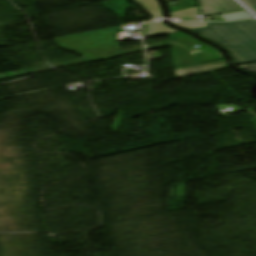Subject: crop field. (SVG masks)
<instances>
[{
    "label": "crop field",
    "instance_id": "crop-field-8",
    "mask_svg": "<svg viewBox=\"0 0 256 256\" xmlns=\"http://www.w3.org/2000/svg\"><path fill=\"white\" fill-rule=\"evenodd\" d=\"M172 23L187 29L208 27L206 23H190V22H172Z\"/></svg>",
    "mask_w": 256,
    "mask_h": 256
},
{
    "label": "crop field",
    "instance_id": "crop-field-2",
    "mask_svg": "<svg viewBox=\"0 0 256 256\" xmlns=\"http://www.w3.org/2000/svg\"><path fill=\"white\" fill-rule=\"evenodd\" d=\"M172 63L175 69L222 60L223 57L218 50L212 48L182 32L168 34ZM200 47L195 48L193 46ZM198 51L200 61L192 56V52Z\"/></svg>",
    "mask_w": 256,
    "mask_h": 256
},
{
    "label": "crop field",
    "instance_id": "crop-field-4",
    "mask_svg": "<svg viewBox=\"0 0 256 256\" xmlns=\"http://www.w3.org/2000/svg\"><path fill=\"white\" fill-rule=\"evenodd\" d=\"M225 67H227V64H226L225 60H222V61L202 64V65L177 69L175 71H176L177 77H179V76L190 75V74H195V73H200V72H206V71H211V70H216V69H222Z\"/></svg>",
    "mask_w": 256,
    "mask_h": 256
},
{
    "label": "crop field",
    "instance_id": "crop-field-3",
    "mask_svg": "<svg viewBox=\"0 0 256 256\" xmlns=\"http://www.w3.org/2000/svg\"><path fill=\"white\" fill-rule=\"evenodd\" d=\"M204 16L243 11L232 0H198Z\"/></svg>",
    "mask_w": 256,
    "mask_h": 256
},
{
    "label": "crop field",
    "instance_id": "crop-field-10",
    "mask_svg": "<svg viewBox=\"0 0 256 256\" xmlns=\"http://www.w3.org/2000/svg\"><path fill=\"white\" fill-rule=\"evenodd\" d=\"M244 1L247 2L251 7L256 9V0H244Z\"/></svg>",
    "mask_w": 256,
    "mask_h": 256
},
{
    "label": "crop field",
    "instance_id": "crop-field-11",
    "mask_svg": "<svg viewBox=\"0 0 256 256\" xmlns=\"http://www.w3.org/2000/svg\"><path fill=\"white\" fill-rule=\"evenodd\" d=\"M171 1H176V0H166V2H171Z\"/></svg>",
    "mask_w": 256,
    "mask_h": 256
},
{
    "label": "crop field",
    "instance_id": "crop-field-9",
    "mask_svg": "<svg viewBox=\"0 0 256 256\" xmlns=\"http://www.w3.org/2000/svg\"><path fill=\"white\" fill-rule=\"evenodd\" d=\"M241 69L256 73V64L240 66Z\"/></svg>",
    "mask_w": 256,
    "mask_h": 256
},
{
    "label": "crop field",
    "instance_id": "crop-field-7",
    "mask_svg": "<svg viewBox=\"0 0 256 256\" xmlns=\"http://www.w3.org/2000/svg\"><path fill=\"white\" fill-rule=\"evenodd\" d=\"M246 12V11H245ZM245 12H240V13H231V14H226V15H220L224 21H233V20H241V19H249L252 18Z\"/></svg>",
    "mask_w": 256,
    "mask_h": 256
},
{
    "label": "crop field",
    "instance_id": "crop-field-5",
    "mask_svg": "<svg viewBox=\"0 0 256 256\" xmlns=\"http://www.w3.org/2000/svg\"><path fill=\"white\" fill-rule=\"evenodd\" d=\"M171 20L196 21V7L171 13Z\"/></svg>",
    "mask_w": 256,
    "mask_h": 256
},
{
    "label": "crop field",
    "instance_id": "crop-field-1",
    "mask_svg": "<svg viewBox=\"0 0 256 256\" xmlns=\"http://www.w3.org/2000/svg\"><path fill=\"white\" fill-rule=\"evenodd\" d=\"M207 24L192 31L230 51L235 65L256 62V20Z\"/></svg>",
    "mask_w": 256,
    "mask_h": 256
},
{
    "label": "crop field",
    "instance_id": "crop-field-6",
    "mask_svg": "<svg viewBox=\"0 0 256 256\" xmlns=\"http://www.w3.org/2000/svg\"><path fill=\"white\" fill-rule=\"evenodd\" d=\"M175 31H178V30L170 29L160 21H157L152 24V32L147 37L161 35V34L175 32Z\"/></svg>",
    "mask_w": 256,
    "mask_h": 256
}]
</instances>
